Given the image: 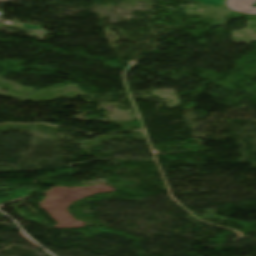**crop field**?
Listing matches in <instances>:
<instances>
[{
    "instance_id": "crop-field-1",
    "label": "crop field",
    "mask_w": 256,
    "mask_h": 256,
    "mask_svg": "<svg viewBox=\"0 0 256 256\" xmlns=\"http://www.w3.org/2000/svg\"><path fill=\"white\" fill-rule=\"evenodd\" d=\"M255 1L256 0H227L226 4L228 8L234 12L256 14V8H250Z\"/></svg>"
},
{
    "instance_id": "crop-field-2",
    "label": "crop field",
    "mask_w": 256,
    "mask_h": 256,
    "mask_svg": "<svg viewBox=\"0 0 256 256\" xmlns=\"http://www.w3.org/2000/svg\"><path fill=\"white\" fill-rule=\"evenodd\" d=\"M205 5H214V6H220L225 7L224 0H197Z\"/></svg>"
},
{
    "instance_id": "crop-field-3",
    "label": "crop field",
    "mask_w": 256,
    "mask_h": 256,
    "mask_svg": "<svg viewBox=\"0 0 256 256\" xmlns=\"http://www.w3.org/2000/svg\"><path fill=\"white\" fill-rule=\"evenodd\" d=\"M7 1H11V0H0V2H7Z\"/></svg>"
}]
</instances>
